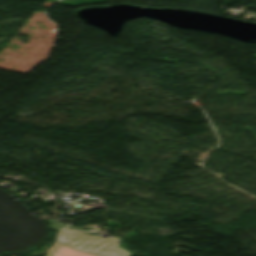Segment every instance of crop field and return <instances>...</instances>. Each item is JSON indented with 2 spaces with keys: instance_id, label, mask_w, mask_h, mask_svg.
I'll return each mask as SVG.
<instances>
[{
  "instance_id": "obj_1",
  "label": "crop field",
  "mask_w": 256,
  "mask_h": 256,
  "mask_svg": "<svg viewBox=\"0 0 256 256\" xmlns=\"http://www.w3.org/2000/svg\"><path fill=\"white\" fill-rule=\"evenodd\" d=\"M76 234L79 236H75ZM58 241L76 250L98 256H129L127 252L116 247V239H105L78 231L64 230L59 235Z\"/></svg>"
},
{
  "instance_id": "obj_2",
  "label": "crop field",
  "mask_w": 256,
  "mask_h": 256,
  "mask_svg": "<svg viewBox=\"0 0 256 256\" xmlns=\"http://www.w3.org/2000/svg\"><path fill=\"white\" fill-rule=\"evenodd\" d=\"M47 256H94V255L79 252L57 243V245L49 251Z\"/></svg>"
}]
</instances>
